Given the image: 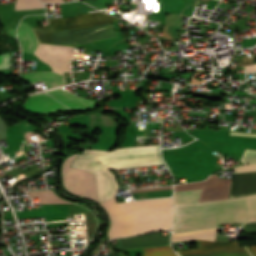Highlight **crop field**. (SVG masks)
<instances>
[{
    "mask_svg": "<svg viewBox=\"0 0 256 256\" xmlns=\"http://www.w3.org/2000/svg\"><path fill=\"white\" fill-rule=\"evenodd\" d=\"M201 190L174 192L173 231L256 221V194L198 202Z\"/></svg>",
    "mask_w": 256,
    "mask_h": 256,
    "instance_id": "obj_1",
    "label": "crop field"
},
{
    "mask_svg": "<svg viewBox=\"0 0 256 256\" xmlns=\"http://www.w3.org/2000/svg\"><path fill=\"white\" fill-rule=\"evenodd\" d=\"M158 145L143 147H126L111 152L98 150H84L71 166L95 173L99 203L114 198L118 185L114 175L107 167L113 170L160 165Z\"/></svg>",
    "mask_w": 256,
    "mask_h": 256,
    "instance_id": "obj_2",
    "label": "crop field"
},
{
    "mask_svg": "<svg viewBox=\"0 0 256 256\" xmlns=\"http://www.w3.org/2000/svg\"><path fill=\"white\" fill-rule=\"evenodd\" d=\"M100 205L110 218L109 239L171 226V198L115 203V198Z\"/></svg>",
    "mask_w": 256,
    "mask_h": 256,
    "instance_id": "obj_3",
    "label": "crop field"
},
{
    "mask_svg": "<svg viewBox=\"0 0 256 256\" xmlns=\"http://www.w3.org/2000/svg\"><path fill=\"white\" fill-rule=\"evenodd\" d=\"M78 155L74 154L64 160L62 165L63 185L67 191L78 196L94 199L98 203L94 174L69 167Z\"/></svg>",
    "mask_w": 256,
    "mask_h": 256,
    "instance_id": "obj_4",
    "label": "crop field"
},
{
    "mask_svg": "<svg viewBox=\"0 0 256 256\" xmlns=\"http://www.w3.org/2000/svg\"><path fill=\"white\" fill-rule=\"evenodd\" d=\"M198 248L178 250L179 256H252L246 246L237 241L228 243L197 240Z\"/></svg>",
    "mask_w": 256,
    "mask_h": 256,
    "instance_id": "obj_5",
    "label": "crop field"
},
{
    "mask_svg": "<svg viewBox=\"0 0 256 256\" xmlns=\"http://www.w3.org/2000/svg\"><path fill=\"white\" fill-rule=\"evenodd\" d=\"M231 178L220 179L217 175H210L202 182L176 185L174 191L203 188L199 201L224 199L228 197Z\"/></svg>",
    "mask_w": 256,
    "mask_h": 256,
    "instance_id": "obj_6",
    "label": "crop field"
},
{
    "mask_svg": "<svg viewBox=\"0 0 256 256\" xmlns=\"http://www.w3.org/2000/svg\"><path fill=\"white\" fill-rule=\"evenodd\" d=\"M73 48L40 44L34 54L40 61L46 62L53 71L63 75V71H70L68 59Z\"/></svg>",
    "mask_w": 256,
    "mask_h": 256,
    "instance_id": "obj_7",
    "label": "crop field"
},
{
    "mask_svg": "<svg viewBox=\"0 0 256 256\" xmlns=\"http://www.w3.org/2000/svg\"><path fill=\"white\" fill-rule=\"evenodd\" d=\"M108 15V14H107ZM101 12L76 15L72 18L48 19L52 31L70 28H83L118 18L107 16Z\"/></svg>",
    "mask_w": 256,
    "mask_h": 256,
    "instance_id": "obj_8",
    "label": "crop field"
},
{
    "mask_svg": "<svg viewBox=\"0 0 256 256\" xmlns=\"http://www.w3.org/2000/svg\"><path fill=\"white\" fill-rule=\"evenodd\" d=\"M116 240L118 243L115 245L117 250L169 245V235L161 236L160 232Z\"/></svg>",
    "mask_w": 256,
    "mask_h": 256,
    "instance_id": "obj_9",
    "label": "crop field"
},
{
    "mask_svg": "<svg viewBox=\"0 0 256 256\" xmlns=\"http://www.w3.org/2000/svg\"><path fill=\"white\" fill-rule=\"evenodd\" d=\"M23 106L26 110L38 114L69 110L64 105L55 101L51 96L44 93H38L28 97Z\"/></svg>",
    "mask_w": 256,
    "mask_h": 256,
    "instance_id": "obj_10",
    "label": "crop field"
},
{
    "mask_svg": "<svg viewBox=\"0 0 256 256\" xmlns=\"http://www.w3.org/2000/svg\"><path fill=\"white\" fill-rule=\"evenodd\" d=\"M55 99L70 107L71 110H84L97 105V102L74 96L64 90L57 89L47 92ZM68 107V108H69Z\"/></svg>",
    "mask_w": 256,
    "mask_h": 256,
    "instance_id": "obj_11",
    "label": "crop field"
},
{
    "mask_svg": "<svg viewBox=\"0 0 256 256\" xmlns=\"http://www.w3.org/2000/svg\"><path fill=\"white\" fill-rule=\"evenodd\" d=\"M21 78L27 81L28 83L43 80L46 88L57 87V86L66 84L64 77L53 71L32 72V73L22 74Z\"/></svg>",
    "mask_w": 256,
    "mask_h": 256,
    "instance_id": "obj_12",
    "label": "crop field"
},
{
    "mask_svg": "<svg viewBox=\"0 0 256 256\" xmlns=\"http://www.w3.org/2000/svg\"><path fill=\"white\" fill-rule=\"evenodd\" d=\"M17 37L23 51L33 53L39 44L36 37L32 33L31 26L25 24L22 21L20 22L17 29Z\"/></svg>",
    "mask_w": 256,
    "mask_h": 256,
    "instance_id": "obj_13",
    "label": "crop field"
},
{
    "mask_svg": "<svg viewBox=\"0 0 256 256\" xmlns=\"http://www.w3.org/2000/svg\"><path fill=\"white\" fill-rule=\"evenodd\" d=\"M216 228L190 231L185 233H173L171 237V242L193 240V239H203L212 240L215 238Z\"/></svg>",
    "mask_w": 256,
    "mask_h": 256,
    "instance_id": "obj_14",
    "label": "crop field"
},
{
    "mask_svg": "<svg viewBox=\"0 0 256 256\" xmlns=\"http://www.w3.org/2000/svg\"><path fill=\"white\" fill-rule=\"evenodd\" d=\"M30 197H38L39 204L69 203L58 198L52 190L30 191Z\"/></svg>",
    "mask_w": 256,
    "mask_h": 256,
    "instance_id": "obj_15",
    "label": "crop field"
},
{
    "mask_svg": "<svg viewBox=\"0 0 256 256\" xmlns=\"http://www.w3.org/2000/svg\"><path fill=\"white\" fill-rule=\"evenodd\" d=\"M142 256H176L170 246L141 249Z\"/></svg>",
    "mask_w": 256,
    "mask_h": 256,
    "instance_id": "obj_16",
    "label": "crop field"
},
{
    "mask_svg": "<svg viewBox=\"0 0 256 256\" xmlns=\"http://www.w3.org/2000/svg\"><path fill=\"white\" fill-rule=\"evenodd\" d=\"M32 29L40 43L50 44L51 30L49 27H35Z\"/></svg>",
    "mask_w": 256,
    "mask_h": 256,
    "instance_id": "obj_17",
    "label": "crop field"
},
{
    "mask_svg": "<svg viewBox=\"0 0 256 256\" xmlns=\"http://www.w3.org/2000/svg\"><path fill=\"white\" fill-rule=\"evenodd\" d=\"M44 7L38 0H16L15 10L35 9Z\"/></svg>",
    "mask_w": 256,
    "mask_h": 256,
    "instance_id": "obj_18",
    "label": "crop field"
},
{
    "mask_svg": "<svg viewBox=\"0 0 256 256\" xmlns=\"http://www.w3.org/2000/svg\"><path fill=\"white\" fill-rule=\"evenodd\" d=\"M240 160L243 161L244 163L256 162V151L246 149L243 155L241 156Z\"/></svg>",
    "mask_w": 256,
    "mask_h": 256,
    "instance_id": "obj_19",
    "label": "crop field"
},
{
    "mask_svg": "<svg viewBox=\"0 0 256 256\" xmlns=\"http://www.w3.org/2000/svg\"><path fill=\"white\" fill-rule=\"evenodd\" d=\"M236 172H243V171H256V164H245L242 166L234 167Z\"/></svg>",
    "mask_w": 256,
    "mask_h": 256,
    "instance_id": "obj_20",
    "label": "crop field"
},
{
    "mask_svg": "<svg viewBox=\"0 0 256 256\" xmlns=\"http://www.w3.org/2000/svg\"><path fill=\"white\" fill-rule=\"evenodd\" d=\"M9 54L0 56V69L8 68Z\"/></svg>",
    "mask_w": 256,
    "mask_h": 256,
    "instance_id": "obj_21",
    "label": "crop field"
},
{
    "mask_svg": "<svg viewBox=\"0 0 256 256\" xmlns=\"http://www.w3.org/2000/svg\"><path fill=\"white\" fill-rule=\"evenodd\" d=\"M229 135L256 137V134L230 132Z\"/></svg>",
    "mask_w": 256,
    "mask_h": 256,
    "instance_id": "obj_22",
    "label": "crop field"
},
{
    "mask_svg": "<svg viewBox=\"0 0 256 256\" xmlns=\"http://www.w3.org/2000/svg\"><path fill=\"white\" fill-rule=\"evenodd\" d=\"M244 230L256 231V222L246 224Z\"/></svg>",
    "mask_w": 256,
    "mask_h": 256,
    "instance_id": "obj_23",
    "label": "crop field"
},
{
    "mask_svg": "<svg viewBox=\"0 0 256 256\" xmlns=\"http://www.w3.org/2000/svg\"><path fill=\"white\" fill-rule=\"evenodd\" d=\"M244 69L246 72H253L256 71V64L244 66Z\"/></svg>",
    "mask_w": 256,
    "mask_h": 256,
    "instance_id": "obj_24",
    "label": "crop field"
},
{
    "mask_svg": "<svg viewBox=\"0 0 256 256\" xmlns=\"http://www.w3.org/2000/svg\"><path fill=\"white\" fill-rule=\"evenodd\" d=\"M165 189H172V187L153 188V189H142V190H132V191H133V192H139V191H152V190H165Z\"/></svg>",
    "mask_w": 256,
    "mask_h": 256,
    "instance_id": "obj_25",
    "label": "crop field"
},
{
    "mask_svg": "<svg viewBox=\"0 0 256 256\" xmlns=\"http://www.w3.org/2000/svg\"><path fill=\"white\" fill-rule=\"evenodd\" d=\"M250 251L253 253L254 256H256V246H247Z\"/></svg>",
    "mask_w": 256,
    "mask_h": 256,
    "instance_id": "obj_26",
    "label": "crop field"
},
{
    "mask_svg": "<svg viewBox=\"0 0 256 256\" xmlns=\"http://www.w3.org/2000/svg\"><path fill=\"white\" fill-rule=\"evenodd\" d=\"M44 2H63L62 0H43Z\"/></svg>",
    "mask_w": 256,
    "mask_h": 256,
    "instance_id": "obj_27",
    "label": "crop field"
}]
</instances>
